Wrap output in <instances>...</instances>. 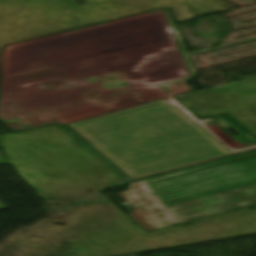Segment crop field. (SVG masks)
I'll return each mask as SVG.
<instances>
[{"label": "crop field", "mask_w": 256, "mask_h": 256, "mask_svg": "<svg viewBox=\"0 0 256 256\" xmlns=\"http://www.w3.org/2000/svg\"><path fill=\"white\" fill-rule=\"evenodd\" d=\"M161 101L169 108L140 115V117L166 139L198 132L191 126L196 123L189 119L179 108L173 107L167 102V99Z\"/></svg>", "instance_id": "3"}, {"label": "crop field", "mask_w": 256, "mask_h": 256, "mask_svg": "<svg viewBox=\"0 0 256 256\" xmlns=\"http://www.w3.org/2000/svg\"><path fill=\"white\" fill-rule=\"evenodd\" d=\"M147 231L256 203V151L131 184L118 194Z\"/></svg>", "instance_id": "1"}, {"label": "crop field", "mask_w": 256, "mask_h": 256, "mask_svg": "<svg viewBox=\"0 0 256 256\" xmlns=\"http://www.w3.org/2000/svg\"><path fill=\"white\" fill-rule=\"evenodd\" d=\"M163 108L158 101L69 126L133 179L231 155L199 125L168 140L183 155L138 117Z\"/></svg>", "instance_id": "2"}]
</instances>
